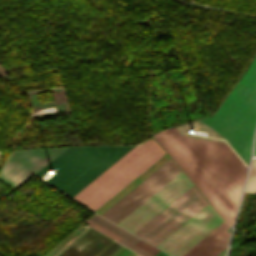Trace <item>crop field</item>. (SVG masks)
Here are the masks:
<instances>
[{"instance_id": "8a807250", "label": "crop field", "mask_w": 256, "mask_h": 256, "mask_svg": "<svg viewBox=\"0 0 256 256\" xmlns=\"http://www.w3.org/2000/svg\"><path fill=\"white\" fill-rule=\"evenodd\" d=\"M201 120L249 163L256 125V57L215 114ZM153 137L232 225L247 168L230 147L181 136L175 127Z\"/></svg>"}, {"instance_id": "ac0d7876", "label": "crop field", "mask_w": 256, "mask_h": 256, "mask_svg": "<svg viewBox=\"0 0 256 256\" xmlns=\"http://www.w3.org/2000/svg\"><path fill=\"white\" fill-rule=\"evenodd\" d=\"M132 146L67 148L35 175L41 178L55 169L46 182L72 197Z\"/></svg>"}, {"instance_id": "34b2d1b8", "label": "crop field", "mask_w": 256, "mask_h": 256, "mask_svg": "<svg viewBox=\"0 0 256 256\" xmlns=\"http://www.w3.org/2000/svg\"><path fill=\"white\" fill-rule=\"evenodd\" d=\"M164 154L150 138L132 148L72 198L96 211Z\"/></svg>"}, {"instance_id": "412701ff", "label": "crop field", "mask_w": 256, "mask_h": 256, "mask_svg": "<svg viewBox=\"0 0 256 256\" xmlns=\"http://www.w3.org/2000/svg\"><path fill=\"white\" fill-rule=\"evenodd\" d=\"M205 204L193 185L134 234L156 246Z\"/></svg>"}, {"instance_id": "f4fd0767", "label": "crop field", "mask_w": 256, "mask_h": 256, "mask_svg": "<svg viewBox=\"0 0 256 256\" xmlns=\"http://www.w3.org/2000/svg\"><path fill=\"white\" fill-rule=\"evenodd\" d=\"M223 222L208 204L156 247L172 256H183Z\"/></svg>"}, {"instance_id": "dd49c442", "label": "crop field", "mask_w": 256, "mask_h": 256, "mask_svg": "<svg viewBox=\"0 0 256 256\" xmlns=\"http://www.w3.org/2000/svg\"><path fill=\"white\" fill-rule=\"evenodd\" d=\"M192 185L181 171L117 224L134 233Z\"/></svg>"}, {"instance_id": "e52e79f7", "label": "crop field", "mask_w": 256, "mask_h": 256, "mask_svg": "<svg viewBox=\"0 0 256 256\" xmlns=\"http://www.w3.org/2000/svg\"><path fill=\"white\" fill-rule=\"evenodd\" d=\"M66 148L13 151L0 173V180L16 188Z\"/></svg>"}, {"instance_id": "d8731c3e", "label": "crop field", "mask_w": 256, "mask_h": 256, "mask_svg": "<svg viewBox=\"0 0 256 256\" xmlns=\"http://www.w3.org/2000/svg\"><path fill=\"white\" fill-rule=\"evenodd\" d=\"M180 171L179 167L170 159L102 216L117 223Z\"/></svg>"}, {"instance_id": "5a996713", "label": "crop field", "mask_w": 256, "mask_h": 256, "mask_svg": "<svg viewBox=\"0 0 256 256\" xmlns=\"http://www.w3.org/2000/svg\"><path fill=\"white\" fill-rule=\"evenodd\" d=\"M230 228L224 222L184 256H217L227 247Z\"/></svg>"}, {"instance_id": "3316defc", "label": "crop field", "mask_w": 256, "mask_h": 256, "mask_svg": "<svg viewBox=\"0 0 256 256\" xmlns=\"http://www.w3.org/2000/svg\"><path fill=\"white\" fill-rule=\"evenodd\" d=\"M89 219L95 221L96 223L102 225L103 227L107 228L108 230L114 232L115 234L121 236L122 238L132 242L133 244L138 241L140 238L134 236L133 234L127 232L126 230L118 227L117 225L111 223L110 221L104 219L103 217L94 214Z\"/></svg>"}, {"instance_id": "28ad6ade", "label": "crop field", "mask_w": 256, "mask_h": 256, "mask_svg": "<svg viewBox=\"0 0 256 256\" xmlns=\"http://www.w3.org/2000/svg\"><path fill=\"white\" fill-rule=\"evenodd\" d=\"M245 192L256 194V159H253L252 168L248 178Z\"/></svg>"}, {"instance_id": "d1516ede", "label": "crop field", "mask_w": 256, "mask_h": 256, "mask_svg": "<svg viewBox=\"0 0 256 256\" xmlns=\"http://www.w3.org/2000/svg\"><path fill=\"white\" fill-rule=\"evenodd\" d=\"M85 223L88 224L89 226L93 227L94 229L106 234L107 236L117 240V241L121 238V237L115 235L114 233L108 231L107 229L103 228L102 226L96 224L95 222H93L89 219L87 221H85Z\"/></svg>"}, {"instance_id": "22f410ed", "label": "crop field", "mask_w": 256, "mask_h": 256, "mask_svg": "<svg viewBox=\"0 0 256 256\" xmlns=\"http://www.w3.org/2000/svg\"><path fill=\"white\" fill-rule=\"evenodd\" d=\"M118 242L122 243L126 247L134 250L135 252H137V253H139V254H141L143 256H153L152 254H150V253H148V252H146V251H144V250L134 246L133 244L129 243L128 241H126V240H124L122 238Z\"/></svg>"}, {"instance_id": "cbeb9de0", "label": "crop field", "mask_w": 256, "mask_h": 256, "mask_svg": "<svg viewBox=\"0 0 256 256\" xmlns=\"http://www.w3.org/2000/svg\"><path fill=\"white\" fill-rule=\"evenodd\" d=\"M135 245L143 248L144 250L152 253V254H157L160 250L156 249L155 247L151 246L150 244L146 243L145 241L143 240H139ZM153 255V256H154Z\"/></svg>"}, {"instance_id": "5142ce71", "label": "crop field", "mask_w": 256, "mask_h": 256, "mask_svg": "<svg viewBox=\"0 0 256 256\" xmlns=\"http://www.w3.org/2000/svg\"><path fill=\"white\" fill-rule=\"evenodd\" d=\"M127 251V249L126 250H124L121 254H119L118 256H121L123 253H125Z\"/></svg>"}, {"instance_id": "d9b57169", "label": "crop field", "mask_w": 256, "mask_h": 256, "mask_svg": "<svg viewBox=\"0 0 256 256\" xmlns=\"http://www.w3.org/2000/svg\"><path fill=\"white\" fill-rule=\"evenodd\" d=\"M254 153L256 154V142H255V150H254Z\"/></svg>"}, {"instance_id": "733c2abd", "label": "crop field", "mask_w": 256, "mask_h": 256, "mask_svg": "<svg viewBox=\"0 0 256 256\" xmlns=\"http://www.w3.org/2000/svg\"><path fill=\"white\" fill-rule=\"evenodd\" d=\"M128 252H129V250H128L126 253H128ZM126 253H125V254H126ZM125 254H123L122 256H124Z\"/></svg>"}, {"instance_id": "4a817a6b", "label": "crop field", "mask_w": 256, "mask_h": 256, "mask_svg": "<svg viewBox=\"0 0 256 256\" xmlns=\"http://www.w3.org/2000/svg\"><path fill=\"white\" fill-rule=\"evenodd\" d=\"M134 256H139V255L135 254Z\"/></svg>"}, {"instance_id": "bc2a9ffb", "label": "crop field", "mask_w": 256, "mask_h": 256, "mask_svg": "<svg viewBox=\"0 0 256 256\" xmlns=\"http://www.w3.org/2000/svg\"><path fill=\"white\" fill-rule=\"evenodd\" d=\"M130 252H131V251H130ZM130 252H129V253H130ZM129 253H128V254H129ZM126 255H127V254H126ZM126 255H125V256H126Z\"/></svg>"}, {"instance_id": "214f88e0", "label": "crop field", "mask_w": 256, "mask_h": 256, "mask_svg": "<svg viewBox=\"0 0 256 256\" xmlns=\"http://www.w3.org/2000/svg\"><path fill=\"white\" fill-rule=\"evenodd\" d=\"M169 256V255H168Z\"/></svg>"}]
</instances>
